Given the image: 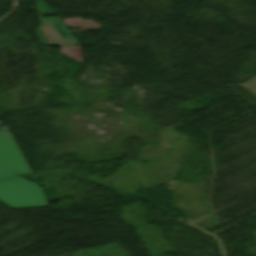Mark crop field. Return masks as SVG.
<instances>
[{"label": "crop field", "mask_w": 256, "mask_h": 256, "mask_svg": "<svg viewBox=\"0 0 256 256\" xmlns=\"http://www.w3.org/2000/svg\"><path fill=\"white\" fill-rule=\"evenodd\" d=\"M0 201L11 208L46 206L40 186L18 176L0 180Z\"/></svg>", "instance_id": "8a807250"}, {"label": "crop field", "mask_w": 256, "mask_h": 256, "mask_svg": "<svg viewBox=\"0 0 256 256\" xmlns=\"http://www.w3.org/2000/svg\"><path fill=\"white\" fill-rule=\"evenodd\" d=\"M0 130H2V128H0Z\"/></svg>", "instance_id": "34b2d1b8"}, {"label": "crop field", "mask_w": 256, "mask_h": 256, "mask_svg": "<svg viewBox=\"0 0 256 256\" xmlns=\"http://www.w3.org/2000/svg\"><path fill=\"white\" fill-rule=\"evenodd\" d=\"M31 171L24 162L8 131L0 132V179Z\"/></svg>", "instance_id": "ac0d7876"}]
</instances>
